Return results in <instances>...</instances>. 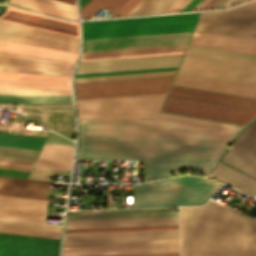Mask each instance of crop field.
<instances>
[{
  "label": "crop field",
  "instance_id": "crop-field-54",
  "mask_svg": "<svg viewBox=\"0 0 256 256\" xmlns=\"http://www.w3.org/2000/svg\"><path fill=\"white\" fill-rule=\"evenodd\" d=\"M243 0H236L231 6L241 3Z\"/></svg>",
  "mask_w": 256,
  "mask_h": 256
},
{
  "label": "crop field",
  "instance_id": "crop-field-46",
  "mask_svg": "<svg viewBox=\"0 0 256 256\" xmlns=\"http://www.w3.org/2000/svg\"><path fill=\"white\" fill-rule=\"evenodd\" d=\"M126 1L127 0H110L104 5V7L115 12Z\"/></svg>",
  "mask_w": 256,
  "mask_h": 256
},
{
  "label": "crop field",
  "instance_id": "crop-field-45",
  "mask_svg": "<svg viewBox=\"0 0 256 256\" xmlns=\"http://www.w3.org/2000/svg\"><path fill=\"white\" fill-rule=\"evenodd\" d=\"M47 141L49 142H56V143H64V144H71V145H74L72 141L54 133V132H51Z\"/></svg>",
  "mask_w": 256,
  "mask_h": 256
},
{
  "label": "crop field",
  "instance_id": "crop-field-39",
  "mask_svg": "<svg viewBox=\"0 0 256 256\" xmlns=\"http://www.w3.org/2000/svg\"><path fill=\"white\" fill-rule=\"evenodd\" d=\"M187 50L256 61V56L189 45Z\"/></svg>",
  "mask_w": 256,
  "mask_h": 256
},
{
  "label": "crop field",
  "instance_id": "crop-field-50",
  "mask_svg": "<svg viewBox=\"0 0 256 256\" xmlns=\"http://www.w3.org/2000/svg\"><path fill=\"white\" fill-rule=\"evenodd\" d=\"M219 0L208 1L200 10L211 9Z\"/></svg>",
  "mask_w": 256,
  "mask_h": 256
},
{
  "label": "crop field",
  "instance_id": "crop-field-29",
  "mask_svg": "<svg viewBox=\"0 0 256 256\" xmlns=\"http://www.w3.org/2000/svg\"><path fill=\"white\" fill-rule=\"evenodd\" d=\"M186 46L187 45L142 48V49H128V50H115V51H102V52H89V53H83L81 59L112 57V56H125V55H138V54H151V53L178 52V51H184ZM178 53H183V52H178ZM165 54H177V53H165ZM152 55H164V54H152ZM138 56H151V55H138ZM138 56H125V57H138ZM125 57H112V58H125ZM112 58H100V59H112ZM87 60H99V59H87ZM81 61H86V60H81Z\"/></svg>",
  "mask_w": 256,
  "mask_h": 256
},
{
  "label": "crop field",
  "instance_id": "crop-field-42",
  "mask_svg": "<svg viewBox=\"0 0 256 256\" xmlns=\"http://www.w3.org/2000/svg\"><path fill=\"white\" fill-rule=\"evenodd\" d=\"M108 0H89L83 7L81 15L90 19Z\"/></svg>",
  "mask_w": 256,
  "mask_h": 256
},
{
  "label": "crop field",
  "instance_id": "crop-field-10",
  "mask_svg": "<svg viewBox=\"0 0 256 256\" xmlns=\"http://www.w3.org/2000/svg\"><path fill=\"white\" fill-rule=\"evenodd\" d=\"M0 39L78 53L79 38L0 20Z\"/></svg>",
  "mask_w": 256,
  "mask_h": 256
},
{
  "label": "crop field",
  "instance_id": "crop-field-20",
  "mask_svg": "<svg viewBox=\"0 0 256 256\" xmlns=\"http://www.w3.org/2000/svg\"><path fill=\"white\" fill-rule=\"evenodd\" d=\"M189 44L256 55V41L195 31Z\"/></svg>",
  "mask_w": 256,
  "mask_h": 256
},
{
  "label": "crop field",
  "instance_id": "crop-field-1",
  "mask_svg": "<svg viewBox=\"0 0 256 256\" xmlns=\"http://www.w3.org/2000/svg\"><path fill=\"white\" fill-rule=\"evenodd\" d=\"M77 122L76 159L145 160V180L204 175L243 127L163 113Z\"/></svg>",
  "mask_w": 256,
  "mask_h": 256
},
{
  "label": "crop field",
  "instance_id": "crop-field-47",
  "mask_svg": "<svg viewBox=\"0 0 256 256\" xmlns=\"http://www.w3.org/2000/svg\"><path fill=\"white\" fill-rule=\"evenodd\" d=\"M106 256H179V253H165V254H135V255H106Z\"/></svg>",
  "mask_w": 256,
  "mask_h": 256
},
{
  "label": "crop field",
  "instance_id": "crop-field-31",
  "mask_svg": "<svg viewBox=\"0 0 256 256\" xmlns=\"http://www.w3.org/2000/svg\"><path fill=\"white\" fill-rule=\"evenodd\" d=\"M39 151L0 147V158L34 161ZM0 159V165L31 168L33 162Z\"/></svg>",
  "mask_w": 256,
  "mask_h": 256
},
{
  "label": "crop field",
  "instance_id": "crop-field-21",
  "mask_svg": "<svg viewBox=\"0 0 256 256\" xmlns=\"http://www.w3.org/2000/svg\"><path fill=\"white\" fill-rule=\"evenodd\" d=\"M50 182L0 176V195L47 200Z\"/></svg>",
  "mask_w": 256,
  "mask_h": 256
},
{
  "label": "crop field",
  "instance_id": "crop-field-36",
  "mask_svg": "<svg viewBox=\"0 0 256 256\" xmlns=\"http://www.w3.org/2000/svg\"><path fill=\"white\" fill-rule=\"evenodd\" d=\"M176 70L75 78L74 83L174 75Z\"/></svg>",
  "mask_w": 256,
  "mask_h": 256
},
{
  "label": "crop field",
  "instance_id": "crop-field-27",
  "mask_svg": "<svg viewBox=\"0 0 256 256\" xmlns=\"http://www.w3.org/2000/svg\"><path fill=\"white\" fill-rule=\"evenodd\" d=\"M0 51L36 55V56H43V57H50V58H57V59H65V60H72V61H75L78 55L76 53L53 50V49L25 45V44L3 41V40H0Z\"/></svg>",
  "mask_w": 256,
  "mask_h": 256
},
{
  "label": "crop field",
  "instance_id": "crop-field-38",
  "mask_svg": "<svg viewBox=\"0 0 256 256\" xmlns=\"http://www.w3.org/2000/svg\"><path fill=\"white\" fill-rule=\"evenodd\" d=\"M164 245H178V241L106 243V244H78V245H64L63 249L105 248V247H134V246H164Z\"/></svg>",
  "mask_w": 256,
  "mask_h": 256
},
{
  "label": "crop field",
  "instance_id": "crop-field-37",
  "mask_svg": "<svg viewBox=\"0 0 256 256\" xmlns=\"http://www.w3.org/2000/svg\"><path fill=\"white\" fill-rule=\"evenodd\" d=\"M176 0H143L127 16L163 13Z\"/></svg>",
  "mask_w": 256,
  "mask_h": 256
},
{
  "label": "crop field",
  "instance_id": "crop-field-30",
  "mask_svg": "<svg viewBox=\"0 0 256 256\" xmlns=\"http://www.w3.org/2000/svg\"><path fill=\"white\" fill-rule=\"evenodd\" d=\"M210 177L224 181L247 193H250V194L256 193L255 180L220 163H218L217 167L211 173Z\"/></svg>",
  "mask_w": 256,
  "mask_h": 256
},
{
  "label": "crop field",
  "instance_id": "crop-field-4",
  "mask_svg": "<svg viewBox=\"0 0 256 256\" xmlns=\"http://www.w3.org/2000/svg\"><path fill=\"white\" fill-rule=\"evenodd\" d=\"M220 187L213 181L193 177L138 185L134 187V207L201 204Z\"/></svg>",
  "mask_w": 256,
  "mask_h": 256
},
{
  "label": "crop field",
  "instance_id": "crop-field-11",
  "mask_svg": "<svg viewBox=\"0 0 256 256\" xmlns=\"http://www.w3.org/2000/svg\"><path fill=\"white\" fill-rule=\"evenodd\" d=\"M182 55L80 62L76 74L178 66Z\"/></svg>",
  "mask_w": 256,
  "mask_h": 256
},
{
  "label": "crop field",
  "instance_id": "crop-field-56",
  "mask_svg": "<svg viewBox=\"0 0 256 256\" xmlns=\"http://www.w3.org/2000/svg\"><path fill=\"white\" fill-rule=\"evenodd\" d=\"M88 0H80L81 2V7L87 2Z\"/></svg>",
  "mask_w": 256,
  "mask_h": 256
},
{
  "label": "crop field",
  "instance_id": "crop-field-57",
  "mask_svg": "<svg viewBox=\"0 0 256 256\" xmlns=\"http://www.w3.org/2000/svg\"><path fill=\"white\" fill-rule=\"evenodd\" d=\"M52 184L67 186V184H63V183H55V182H52Z\"/></svg>",
  "mask_w": 256,
  "mask_h": 256
},
{
  "label": "crop field",
  "instance_id": "crop-field-16",
  "mask_svg": "<svg viewBox=\"0 0 256 256\" xmlns=\"http://www.w3.org/2000/svg\"><path fill=\"white\" fill-rule=\"evenodd\" d=\"M47 201L0 196V218L44 223Z\"/></svg>",
  "mask_w": 256,
  "mask_h": 256
},
{
  "label": "crop field",
  "instance_id": "crop-field-12",
  "mask_svg": "<svg viewBox=\"0 0 256 256\" xmlns=\"http://www.w3.org/2000/svg\"><path fill=\"white\" fill-rule=\"evenodd\" d=\"M191 33L84 41L83 52L187 44Z\"/></svg>",
  "mask_w": 256,
  "mask_h": 256
},
{
  "label": "crop field",
  "instance_id": "crop-field-33",
  "mask_svg": "<svg viewBox=\"0 0 256 256\" xmlns=\"http://www.w3.org/2000/svg\"><path fill=\"white\" fill-rule=\"evenodd\" d=\"M9 3L35 9L57 17L78 19V13L33 0H10Z\"/></svg>",
  "mask_w": 256,
  "mask_h": 256
},
{
  "label": "crop field",
  "instance_id": "crop-field-48",
  "mask_svg": "<svg viewBox=\"0 0 256 256\" xmlns=\"http://www.w3.org/2000/svg\"><path fill=\"white\" fill-rule=\"evenodd\" d=\"M235 0H220L212 9L229 7Z\"/></svg>",
  "mask_w": 256,
  "mask_h": 256
},
{
  "label": "crop field",
  "instance_id": "crop-field-8",
  "mask_svg": "<svg viewBox=\"0 0 256 256\" xmlns=\"http://www.w3.org/2000/svg\"><path fill=\"white\" fill-rule=\"evenodd\" d=\"M162 111L245 125L256 109L168 95Z\"/></svg>",
  "mask_w": 256,
  "mask_h": 256
},
{
  "label": "crop field",
  "instance_id": "crop-field-18",
  "mask_svg": "<svg viewBox=\"0 0 256 256\" xmlns=\"http://www.w3.org/2000/svg\"><path fill=\"white\" fill-rule=\"evenodd\" d=\"M0 86L70 89V77L0 71Z\"/></svg>",
  "mask_w": 256,
  "mask_h": 256
},
{
  "label": "crop field",
  "instance_id": "crop-field-26",
  "mask_svg": "<svg viewBox=\"0 0 256 256\" xmlns=\"http://www.w3.org/2000/svg\"><path fill=\"white\" fill-rule=\"evenodd\" d=\"M0 62L68 70H72L75 63L72 61L57 60L6 52H0Z\"/></svg>",
  "mask_w": 256,
  "mask_h": 256
},
{
  "label": "crop field",
  "instance_id": "crop-field-55",
  "mask_svg": "<svg viewBox=\"0 0 256 256\" xmlns=\"http://www.w3.org/2000/svg\"><path fill=\"white\" fill-rule=\"evenodd\" d=\"M0 167H7V168H16V169H25V170H29V169H26V168H17V167H8V166H0Z\"/></svg>",
  "mask_w": 256,
  "mask_h": 256
},
{
  "label": "crop field",
  "instance_id": "crop-field-35",
  "mask_svg": "<svg viewBox=\"0 0 256 256\" xmlns=\"http://www.w3.org/2000/svg\"><path fill=\"white\" fill-rule=\"evenodd\" d=\"M31 102H72L71 96L48 95H2L0 103H31Z\"/></svg>",
  "mask_w": 256,
  "mask_h": 256
},
{
  "label": "crop field",
  "instance_id": "crop-field-51",
  "mask_svg": "<svg viewBox=\"0 0 256 256\" xmlns=\"http://www.w3.org/2000/svg\"><path fill=\"white\" fill-rule=\"evenodd\" d=\"M208 0H202L192 11L199 10Z\"/></svg>",
  "mask_w": 256,
  "mask_h": 256
},
{
  "label": "crop field",
  "instance_id": "crop-field-43",
  "mask_svg": "<svg viewBox=\"0 0 256 256\" xmlns=\"http://www.w3.org/2000/svg\"><path fill=\"white\" fill-rule=\"evenodd\" d=\"M142 0H128L116 13L111 17L115 16H126L138 3Z\"/></svg>",
  "mask_w": 256,
  "mask_h": 256
},
{
  "label": "crop field",
  "instance_id": "crop-field-32",
  "mask_svg": "<svg viewBox=\"0 0 256 256\" xmlns=\"http://www.w3.org/2000/svg\"><path fill=\"white\" fill-rule=\"evenodd\" d=\"M167 216H178V211L123 213V214H101V215H79V216H68L67 221L122 219V218H145V217H167Z\"/></svg>",
  "mask_w": 256,
  "mask_h": 256
},
{
  "label": "crop field",
  "instance_id": "crop-field-28",
  "mask_svg": "<svg viewBox=\"0 0 256 256\" xmlns=\"http://www.w3.org/2000/svg\"><path fill=\"white\" fill-rule=\"evenodd\" d=\"M179 252L178 246L63 250L62 256Z\"/></svg>",
  "mask_w": 256,
  "mask_h": 256
},
{
  "label": "crop field",
  "instance_id": "crop-field-3",
  "mask_svg": "<svg viewBox=\"0 0 256 256\" xmlns=\"http://www.w3.org/2000/svg\"><path fill=\"white\" fill-rule=\"evenodd\" d=\"M200 13L84 22V40L192 31Z\"/></svg>",
  "mask_w": 256,
  "mask_h": 256
},
{
  "label": "crop field",
  "instance_id": "crop-field-22",
  "mask_svg": "<svg viewBox=\"0 0 256 256\" xmlns=\"http://www.w3.org/2000/svg\"><path fill=\"white\" fill-rule=\"evenodd\" d=\"M178 225V217L67 222L66 229Z\"/></svg>",
  "mask_w": 256,
  "mask_h": 256
},
{
  "label": "crop field",
  "instance_id": "crop-field-19",
  "mask_svg": "<svg viewBox=\"0 0 256 256\" xmlns=\"http://www.w3.org/2000/svg\"><path fill=\"white\" fill-rule=\"evenodd\" d=\"M178 238V230L65 234L64 243Z\"/></svg>",
  "mask_w": 256,
  "mask_h": 256
},
{
  "label": "crop field",
  "instance_id": "crop-field-41",
  "mask_svg": "<svg viewBox=\"0 0 256 256\" xmlns=\"http://www.w3.org/2000/svg\"><path fill=\"white\" fill-rule=\"evenodd\" d=\"M51 174L69 176L70 172L33 167L28 178L50 180Z\"/></svg>",
  "mask_w": 256,
  "mask_h": 256
},
{
  "label": "crop field",
  "instance_id": "crop-field-52",
  "mask_svg": "<svg viewBox=\"0 0 256 256\" xmlns=\"http://www.w3.org/2000/svg\"><path fill=\"white\" fill-rule=\"evenodd\" d=\"M167 240H178V239H167ZM144 241H164V240H144ZM121 242H134V241H121ZM98 243H105V242H98Z\"/></svg>",
  "mask_w": 256,
  "mask_h": 256
},
{
  "label": "crop field",
  "instance_id": "crop-field-40",
  "mask_svg": "<svg viewBox=\"0 0 256 256\" xmlns=\"http://www.w3.org/2000/svg\"><path fill=\"white\" fill-rule=\"evenodd\" d=\"M160 229H178V226L140 227V228L82 229V230H66L65 233L103 232V231H125V230H160Z\"/></svg>",
  "mask_w": 256,
  "mask_h": 256
},
{
  "label": "crop field",
  "instance_id": "crop-field-6",
  "mask_svg": "<svg viewBox=\"0 0 256 256\" xmlns=\"http://www.w3.org/2000/svg\"><path fill=\"white\" fill-rule=\"evenodd\" d=\"M174 76L74 84L76 100L167 93Z\"/></svg>",
  "mask_w": 256,
  "mask_h": 256
},
{
  "label": "crop field",
  "instance_id": "crop-field-15",
  "mask_svg": "<svg viewBox=\"0 0 256 256\" xmlns=\"http://www.w3.org/2000/svg\"><path fill=\"white\" fill-rule=\"evenodd\" d=\"M172 85L256 99V86L252 85L180 73L177 74Z\"/></svg>",
  "mask_w": 256,
  "mask_h": 256
},
{
  "label": "crop field",
  "instance_id": "crop-field-5",
  "mask_svg": "<svg viewBox=\"0 0 256 256\" xmlns=\"http://www.w3.org/2000/svg\"><path fill=\"white\" fill-rule=\"evenodd\" d=\"M179 72L256 85V62L251 61L188 51Z\"/></svg>",
  "mask_w": 256,
  "mask_h": 256
},
{
  "label": "crop field",
  "instance_id": "crop-field-53",
  "mask_svg": "<svg viewBox=\"0 0 256 256\" xmlns=\"http://www.w3.org/2000/svg\"><path fill=\"white\" fill-rule=\"evenodd\" d=\"M45 144H49V145H59V146H69V147H73V146H71V145L56 144V143H49V142H46Z\"/></svg>",
  "mask_w": 256,
  "mask_h": 256
},
{
  "label": "crop field",
  "instance_id": "crop-field-17",
  "mask_svg": "<svg viewBox=\"0 0 256 256\" xmlns=\"http://www.w3.org/2000/svg\"><path fill=\"white\" fill-rule=\"evenodd\" d=\"M0 19L79 37V23L61 21L8 6Z\"/></svg>",
  "mask_w": 256,
  "mask_h": 256
},
{
  "label": "crop field",
  "instance_id": "crop-field-25",
  "mask_svg": "<svg viewBox=\"0 0 256 256\" xmlns=\"http://www.w3.org/2000/svg\"><path fill=\"white\" fill-rule=\"evenodd\" d=\"M171 95L256 108V100L172 86Z\"/></svg>",
  "mask_w": 256,
  "mask_h": 256
},
{
  "label": "crop field",
  "instance_id": "crop-field-34",
  "mask_svg": "<svg viewBox=\"0 0 256 256\" xmlns=\"http://www.w3.org/2000/svg\"><path fill=\"white\" fill-rule=\"evenodd\" d=\"M46 138L1 134L0 145L40 150Z\"/></svg>",
  "mask_w": 256,
  "mask_h": 256
},
{
  "label": "crop field",
  "instance_id": "crop-field-13",
  "mask_svg": "<svg viewBox=\"0 0 256 256\" xmlns=\"http://www.w3.org/2000/svg\"><path fill=\"white\" fill-rule=\"evenodd\" d=\"M58 241L0 233V256H57Z\"/></svg>",
  "mask_w": 256,
  "mask_h": 256
},
{
  "label": "crop field",
  "instance_id": "crop-field-49",
  "mask_svg": "<svg viewBox=\"0 0 256 256\" xmlns=\"http://www.w3.org/2000/svg\"><path fill=\"white\" fill-rule=\"evenodd\" d=\"M201 0H191L180 12L191 11Z\"/></svg>",
  "mask_w": 256,
  "mask_h": 256
},
{
  "label": "crop field",
  "instance_id": "crop-field-24",
  "mask_svg": "<svg viewBox=\"0 0 256 256\" xmlns=\"http://www.w3.org/2000/svg\"><path fill=\"white\" fill-rule=\"evenodd\" d=\"M73 148L44 145L34 166L70 171Z\"/></svg>",
  "mask_w": 256,
  "mask_h": 256
},
{
  "label": "crop field",
  "instance_id": "crop-field-2",
  "mask_svg": "<svg viewBox=\"0 0 256 256\" xmlns=\"http://www.w3.org/2000/svg\"><path fill=\"white\" fill-rule=\"evenodd\" d=\"M181 256H256V220L208 201L180 207Z\"/></svg>",
  "mask_w": 256,
  "mask_h": 256
},
{
  "label": "crop field",
  "instance_id": "crop-field-23",
  "mask_svg": "<svg viewBox=\"0 0 256 256\" xmlns=\"http://www.w3.org/2000/svg\"><path fill=\"white\" fill-rule=\"evenodd\" d=\"M61 226L0 219V232L59 239Z\"/></svg>",
  "mask_w": 256,
  "mask_h": 256
},
{
  "label": "crop field",
  "instance_id": "crop-field-14",
  "mask_svg": "<svg viewBox=\"0 0 256 256\" xmlns=\"http://www.w3.org/2000/svg\"><path fill=\"white\" fill-rule=\"evenodd\" d=\"M221 161L256 178V120L238 136Z\"/></svg>",
  "mask_w": 256,
  "mask_h": 256
},
{
  "label": "crop field",
  "instance_id": "crop-field-7",
  "mask_svg": "<svg viewBox=\"0 0 256 256\" xmlns=\"http://www.w3.org/2000/svg\"><path fill=\"white\" fill-rule=\"evenodd\" d=\"M195 30L256 40V1L230 10L203 13Z\"/></svg>",
  "mask_w": 256,
  "mask_h": 256
},
{
  "label": "crop field",
  "instance_id": "crop-field-44",
  "mask_svg": "<svg viewBox=\"0 0 256 256\" xmlns=\"http://www.w3.org/2000/svg\"><path fill=\"white\" fill-rule=\"evenodd\" d=\"M170 69H177V67L159 68V69H146V70H133V71H121V72H108V73H95V74H82V75H76L75 77L106 75V74H119V73H132V72H145V71H157V70H170Z\"/></svg>",
  "mask_w": 256,
  "mask_h": 256
},
{
  "label": "crop field",
  "instance_id": "crop-field-9",
  "mask_svg": "<svg viewBox=\"0 0 256 256\" xmlns=\"http://www.w3.org/2000/svg\"><path fill=\"white\" fill-rule=\"evenodd\" d=\"M166 95L76 101L78 118L159 112Z\"/></svg>",
  "mask_w": 256,
  "mask_h": 256
}]
</instances>
